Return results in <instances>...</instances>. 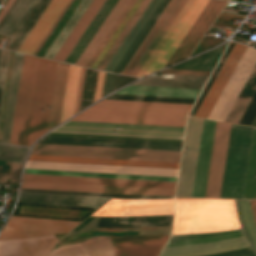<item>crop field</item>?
Segmentation results:
<instances>
[{
	"instance_id": "crop-field-16",
	"label": "crop field",
	"mask_w": 256,
	"mask_h": 256,
	"mask_svg": "<svg viewBox=\"0 0 256 256\" xmlns=\"http://www.w3.org/2000/svg\"><path fill=\"white\" fill-rule=\"evenodd\" d=\"M169 236H110L116 256H157Z\"/></svg>"
},
{
	"instance_id": "crop-field-9",
	"label": "crop field",
	"mask_w": 256,
	"mask_h": 256,
	"mask_svg": "<svg viewBox=\"0 0 256 256\" xmlns=\"http://www.w3.org/2000/svg\"><path fill=\"white\" fill-rule=\"evenodd\" d=\"M202 121L188 117L175 197H190Z\"/></svg>"
},
{
	"instance_id": "crop-field-60",
	"label": "crop field",
	"mask_w": 256,
	"mask_h": 256,
	"mask_svg": "<svg viewBox=\"0 0 256 256\" xmlns=\"http://www.w3.org/2000/svg\"><path fill=\"white\" fill-rule=\"evenodd\" d=\"M256 201V200H255Z\"/></svg>"
},
{
	"instance_id": "crop-field-46",
	"label": "crop field",
	"mask_w": 256,
	"mask_h": 256,
	"mask_svg": "<svg viewBox=\"0 0 256 256\" xmlns=\"http://www.w3.org/2000/svg\"><path fill=\"white\" fill-rule=\"evenodd\" d=\"M233 45H234V42H232V41H231V42L229 43V45H228L227 49L225 50V52H224L223 56L221 57V59H220L219 63L217 64V66H216L215 70L213 71V73H212V75H211L210 79L208 80V82H207L206 86L204 87V89H203L202 93L200 94V96H199L198 100L196 101V103H195L194 107L192 108V110H191V112H190V114H189V115L194 116V114H195L196 110L198 109V107H199L200 103L202 102V100H203V98H204L205 94L207 93V91H208L209 87L211 86V84H212L213 80L215 79V77H216L217 73L219 72V70H220L221 66L223 65V63H224V61H225L226 57L228 56V54H229L230 50H231V49H232V47H233Z\"/></svg>"
},
{
	"instance_id": "crop-field-36",
	"label": "crop field",
	"mask_w": 256,
	"mask_h": 256,
	"mask_svg": "<svg viewBox=\"0 0 256 256\" xmlns=\"http://www.w3.org/2000/svg\"><path fill=\"white\" fill-rule=\"evenodd\" d=\"M91 1L92 0L81 1V3L79 4L75 12L72 14L70 19L68 20V22L66 23L62 31L60 32V34L57 36V38L55 39V41L53 42L49 50L44 55V57L53 59V57L55 56L59 48L62 46V44L64 43V41L66 40V38L68 37L72 29L74 28L78 20L81 18V16L85 12L89 4L91 3Z\"/></svg>"
},
{
	"instance_id": "crop-field-11",
	"label": "crop field",
	"mask_w": 256,
	"mask_h": 256,
	"mask_svg": "<svg viewBox=\"0 0 256 256\" xmlns=\"http://www.w3.org/2000/svg\"><path fill=\"white\" fill-rule=\"evenodd\" d=\"M25 168L134 174V175H151V176H168V177H176L177 171H178V169H169V168H150V167L36 162V161H27Z\"/></svg>"
},
{
	"instance_id": "crop-field-7",
	"label": "crop field",
	"mask_w": 256,
	"mask_h": 256,
	"mask_svg": "<svg viewBox=\"0 0 256 256\" xmlns=\"http://www.w3.org/2000/svg\"><path fill=\"white\" fill-rule=\"evenodd\" d=\"M37 61V57L24 54L10 144L25 142Z\"/></svg>"
},
{
	"instance_id": "crop-field-26",
	"label": "crop field",
	"mask_w": 256,
	"mask_h": 256,
	"mask_svg": "<svg viewBox=\"0 0 256 256\" xmlns=\"http://www.w3.org/2000/svg\"><path fill=\"white\" fill-rule=\"evenodd\" d=\"M23 54L15 52L1 143L9 144Z\"/></svg>"
},
{
	"instance_id": "crop-field-23",
	"label": "crop field",
	"mask_w": 256,
	"mask_h": 256,
	"mask_svg": "<svg viewBox=\"0 0 256 256\" xmlns=\"http://www.w3.org/2000/svg\"><path fill=\"white\" fill-rule=\"evenodd\" d=\"M28 160L74 162V163H93V164H112V165H131V166H150V167H169V168H178V164H179V163H170V162L76 158V157L39 156V155H30Z\"/></svg>"
},
{
	"instance_id": "crop-field-45",
	"label": "crop field",
	"mask_w": 256,
	"mask_h": 256,
	"mask_svg": "<svg viewBox=\"0 0 256 256\" xmlns=\"http://www.w3.org/2000/svg\"><path fill=\"white\" fill-rule=\"evenodd\" d=\"M28 148L0 144V160L23 162Z\"/></svg>"
},
{
	"instance_id": "crop-field-3",
	"label": "crop field",
	"mask_w": 256,
	"mask_h": 256,
	"mask_svg": "<svg viewBox=\"0 0 256 256\" xmlns=\"http://www.w3.org/2000/svg\"><path fill=\"white\" fill-rule=\"evenodd\" d=\"M243 229L174 235L160 256H196L252 246L256 251V226L250 200L235 199ZM252 247L203 256H256Z\"/></svg>"
},
{
	"instance_id": "crop-field-25",
	"label": "crop field",
	"mask_w": 256,
	"mask_h": 256,
	"mask_svg": "<svg viewBox=\"0 0 256 256\" xmlns=\"http://www.w3.org/2000/svg\"><path fill=\"white\" fill-rule=\"evenodd\" d=\"M130 0H119L110 14L107 16L103 24L100 26L96 34L93 36L87 47L84 49L80 57L75 62L76 65L85 66L98 45L101 43L107 32L110 30L114 22L117 20L121 12L124 10ZM89 62V61H88ZM87 65V64H86Z\"/></svg>"
},
{
	"instance_id": "crop-field-28",
	"label": "crop field",
	"mask_w": 256,
	"mask_h": 256,
	"mask_svg": "<svg viewBox=\"0 0 256 256\" xmlns=\"http://www.w3.org/2000/svg\"><path fill=\"white\" fill-rule=\"evenodd\" d=\"M207 77L175 75L174 80L149 76L132 85L202 89Z\"/></svg>"
},
{
	"instance_id": "crop-field-35",
	"label": "crop field",
	"mask_w": 256,
	"mask_h": 256,
	"mask_svg": "<svg viewBox=\"0 0 256 256\" xmlns=\"http://www.w3.org/2000/svg\"><path fill=\"white\" fill-rule=\"evenodd\" d=\"M169 1L170 0H162L160 2L158 7L153 12L147 23L144 25V27L142 28L136 39L133 41L127 52L124 54L116 68L113 70V73L120 74L124 66L127 64L129 59L131 58V56L133 55L139 44L142 42V40L144 39V37L146 36V34L148 33L152 25L155 23V21L157 20V18L159 17V15L161 14V12L163 11V9L165 8Z\"/></svg>"
},
{
	"instance_id": "crop-field-31",
	"label": "crop field",
	"mask_w": 256,
	"mask_h": 256,
	"mask_svg": "<svg viewBox=\"0 0 256 256\" xmlns=\"http://www.w3.org/2000/svg\"><path fill=\"white\" fill-rule=\"evenodd\" d=\"M179 1L180 0H171L168 3V5L164 9L158 20L156 21V23L153 25V27L151 28L143 42L140 44V46L138 47V49L136 50L128 64L125 66L121 74L129 75L131 70L134 68L140 57L143 55V53L145 52L149 44L152 42V40L154 39L160 28L163 26V24L165 23L169 15L172 13V11L174 10Z\"/></svg>"
},
{
	"instance_id": "crop-field-52",
	"label": "crop field",
	"mask_w": 256,
	"mask_h": 256,
	"mask_svg": "<svg viewBox=\"0 0 256 256\" xmlns=\"http://www.w3.org/2000/svg\"><path fill=\"white\" fill-rule=\"evenodd\" d=\"M160 73L165 74H183V75H201V76H209L210 72L204 71H189V70H175V69H166Z\"/></svg>"
},
{
	"instance_id": "crop-field-33",
	"label": "crop field",
	"mask_w": 256,
	"mask_h": 256,
	"mask_svg": "<svg viewBox=\"0 0 256 256\" xmlns=\"http://www.w3.org/2000/svg\"><path fill=\"white\" fill-rule=\"evenodd\" d=\"M226 45L227 43L209 52L183 61L171 68L212 71L215 63L217 62Z\"/></svg>"
},
{
	"instance_id": "crop-field-59",
	"label": "crop field",
	"mask_w": 256,
	"mask_h": 256,
	"mask_svg": "<svg viewBox=\"0 0 256 256\" xmlns=\"http://www.w3.org/2000/svg\"><path fill=\"white\" fill-rule=\"evenodd\" d=\"M2 2V0H0V3Z\"/></svg>"
},
{
	"instance_id": "crop-field-27",
	"label": "crop field",
	"mask_w": 256,
	"mask_h": 256,
	"mask_svg": "<svg viewBox=\"0 0 256 256\" xmlns=\"http://www.w3.org/2000/svg\"><path fill=\"white\" fill-rule=\"evenodd\" d=\"M117 0H106L102 5L98 13L95 15L91 23L88 25L86 30L83 32L79 40L76 42L70 53L65 58L64 62L72 63L76 61L85 46L88 44L96 30L99 28L105 17L108 15L112 7L115 5Z\"/></svg>"
},
{
	"instance_id": "crop-field-17",
	"label": "crop field",
	"mask_w": 256,
	"mask_h": 256,
	"mask_svg": "<svg viewBox=\"0 0 256 256\" xmlns=\"http://www.w3.org/2000/svg\"><path fill=\"white\" fill-rule=\"evenodd\" d=\"M245 49L246 46L235 43L224 65L197 110L195 114L196 117L207 118Z\"/></svg>"
},
{
	"instance_id": "crop-field-15",
	"label": "crop field",
	"mask_w": 256,
	"mask_h": 256,
	"mask_svg": "<svg viewBox=\"0 0 256 256\" xmlns=\"http://www.w3.org/2000/svg\"><path fill=\"white\" fill-rule=\"evenodd\" d=\"M208 1L194 0L142 76L163 68Z\"/></svg>"
},
{
	"instance_id": "crop-field-30",
	"label": "crop field",
	"mask_w": 256,
	"mask_h": 256,
	"mask_svg": "<svg viewBox=\"0 0 256 256\" xmlns=\"http://www.w3.org/2000/svg\"><path fill=\"white\" fill-rule=\"evenodd\" d=\"M105 0H93L80 21L77 23L63 46L60 48L56 56L54 57L55 60L63 61L66 57L70 49L73 47L75 42L78 40L82 32L85 30L89 22L92 20L94 15L97 13L101 5L104 3ZM72 50V49H71ZM70 53V52H69ZM65 60V59H64Z\"/></svg>"
},
{
	"instance_id": "crop-field-19",
	"label": "crop field",
	"mask_w": 256,
	"mask_h": 256,
	"mask_svg": "<svg viewBox=\"0 0 256 256\" xmlns=\"http://www.w3.org/2000/svg\"><path fill=\"white\" fill-rule=\"evenodd\" d=\"M57 241L53 235L0 241V256H46Z\"/></svg>"
},
{
	"instance_id": "crop-field-4",
	"label": "crop field",
	"mask_w": 256,
	"mask_h": 256,
	"mask_svg": "<svg viewBox=\"0 0 256 256\" xmlns=\"http://www.w3.org/2000/svg\"><path fill=\"white\" fill-rule=\"evenodd\" d=\"M238 228L234 199H175L172 235Z\"/></svg>"
},
{
	"instance_id": "crop-field-53",
	"label": "crop field",
	"mask_w": 256,
	"mask_h": 256,
	"mask_svg": "<svg viewBox=\"0 0 256 256\" xmlns=\"http://www.w3.org/2000/svg\"><path fill=\"white\" fill-rule=\"evenodd\" d=\"M104 76L105 73L98 71L93 102L101 98Z\"/></svg>"
},
{
	"instance_id": "crop-field-29",
	"label": "crop field",
	"mask_w": 256,
	"mask_h": 256,
	"mask_svg": "<svg viewBox=\"0 0 256 256\" xmlns=\"http://www.w3.org/2000/svg\"><path fill=\"white\" fill-rule=\"evenodd\" d=\"M161 0H151L142 15L139 17L131 31L128 33L120 47L117 49L109 63L104 68L105 71L112 72L114 67L117 65L123 54L126 52L132 41L135 39L143 25L146 23L152 12L155 10ZM116 68V67H115Z\"/></svg>"
},
{
	"instance_id": "crop-field-56",
	"label": "crop field",
	"mask_w": 256,
	"mask_h": 256,
	"mask_svg": "<svg viewBox=\"0 0 256 256\" xmlns=\"http://www.w3.org/2000/svg\"><path fill=\"white\" fill-rule=\"evenodd\" d=\"M72 0L69 1V3L67 4V6L64 8V10L62 11V13L60 14V16L58 17V19L56 20V22L53 24V26L51 27V29L49 30V32L47 33V35L44 37V39L42 40V42L40 43V45L38 46V48L35 50V52L33 53V55H35V53L37 52V50L39 49V47L42 45V43L44 42V40L46 39V37L48 36V34L50 33V31L53 29V27L55 26V24L57 23V21L59 20V18L61 17V15L64 13V11L66 10V8L68 7V5L70 4ZM39 51V50H38Z\"/></svg>"
},
{
	"instance_id": "crop-field-10",
	"label": "crop field",
	"mask_w": 256,
	"mask_h": 256,
	"mask_svg": "<svg viewBox=\"0 0 256 256\" xmlns=\"http://www.w3.org/2000/svg\"><path fill=\"white\" fill-rule=\"evenodd\" d=\"M256 63V50L247 47L208 118L224 121L242 86Z\"/></svg>"
},
{
	"instance_id": "crop-field-42",
	"label": "crop field",
	"mask_w": 256,
	"mask_h": 256,
	"mask_svg": "<svg viewBox=\"0 0 256 256\" xmlns=\"http://www.w3.org/2000/svg\"><path fill=\"white\" fill-rule=\"evenodd\" d=\"M31 1L32 0H19L17 2L11 13L0 27V34L8 36Z\"/></svg>"
},
{
	"instance_id": "crop-field-32",
	"label": "crop field",
	"mask_w": 256,
	"mask_h": 256,
	"mask_svg": "<svg viewBox=\"0 0 256 256\" xmlns=\"http://www.w3.org/2000/svg\"><path fill=\"white\" fill-rule=\"evenodd\" d=\"M200 90L128 86L115 93L197 98Z\"/></svg>"
},
{
	"instance_id": "crop-field-55",
	"label": "crop field",
	"mask_w": 256,
	"mask_h": 256,
	"mask_svg": "<svg viewBox=\"0 0 256 256\" xmlns=\"http://www.w3.org/2000/svg\"><path fill=\"white\" fill-rule=\"evenodd\" d=\"M84 71H85V68L82 67L81 76H80V82H79V88H78V94H77V100H76V106H75V112L74 113L78 112V108H79V102H80V96H81V89H82Z\"/></svg>"
},
{
	"instance_id": "crop-field-34",
	"label": "crop field",
	"mask_w": 256,
	"mask_h": 256,
	"mask_svg": "<svg viewBox=\"0 0 256 256\" xmlns=\"http://www.w3.org/2000/svg\"><path fill=\"white\" fill-rule=\"evenodd\" d=\"M80 69L81 67H78V66L70 65L69 67V73H68V79H67V85H66V91H65V97H64V103H63L60 122H62L63 120L73 115Z\"/></svg>"
},
{
	"instance_id": "crop-field-21",
	"label": "crop field",
	"mask_w": 256,
	"mask_h": 256,
	"mask_svg": "<svg viewBox=\"0 0 256 256\" xmlns=\"http://www.w3.org/2000/svg\"><path fill=\"white\" fill-rule=\"evenodd\" d=\"M69 0H51L18 52L32 55Z\"/></svg>"
},
{
	"instance_id": "crop-field-58",
	"label": "crop field",
	"mask_w": 256,
	"mask_h": 256,
	"mask_svg": "<svg viewBox=\"0 0 256 256\" xmlns=\"http://www.w3.org/2000/svg\"><path fill=\"white\" fill-rule=\"evenodd\" d=\"M251 126L256 127V117H255V119L253 120V122H252Z\"/></svg>"
},
{
	"instance_id": "crop-field-6",
	"label": "crop field",
	"mask_w": 256,
	"mask_h": 256,
	"mask_svg": "<svg viewBox=\"0 0 256 256\" xmlns=\"http://www.w3.org/2000/svg\"><path fill=\"white\" fill-rule=\"evenodd\" d=\"M56 62L39 58L32 98L26 146L45 133ZM44 110V112H42Z\"/></svg>"
},
{
	"instance_id": "crop-field-47",
	"label": "crop field",
	"mask_w": 256,
	"mask_h": 256,
	"mask_svg": "<svg viewBox=\"0 0 256 256\" xmlns=\"http://www.w3.org/2000/svg\"><path fill=\"white\" fill-rule=\"evenodd\" d=\"M193 2V0H189L186 5L184 6V8L182 9V11L180 12V14L177 16V18L175 19V21L173 22V24L171 25V27L168 29V31L166 32V34L164 35V37L162 38V40L160 41V43L157 45V47L155 48V50L153 51V53L151 54V56L148 58V60L146 61V63L144 64V66L142 67V69L139 71V73L137 74L138 77H141V75L143 74V72L146 70V68L148 67V65L150 64V62L152 61V59L155 57V55L157 54V52L159 51V49L161 48V46L164 44V42L166 41V39L168 38V36L170 35V33L172 32V30L175 28V26L177 25V23L179 22V20L181 19V17L184 15V13L186 12V10L188 9V7L190 6V4Z\"/></svg>"
},
{
	"instance_id": "crop-field-41",
	"label": "crop field",
	"mask_w": 256,
	"mask_h": 256,
	"mask_svg": "<svg viewBox=\"0 0 256 256\" xmlns=\"http://www.w3.org/2000/svg\"><path fill=\"white\" fill-rule=\"evenodd\" d=\"M150 0H143V2L141 3V5L139 6V8L137 9V11L135 12V14L132 16V18L130 19V21L128 22V24L126 25V27L124 28V30L121 32V34L119 35V37L117 38V40L115 41V43L113 44V46L110 48V50L108 51V53L106 54V56L104 57V59L102 60V62L99 64V66L97 67V69L99 70H103V68L105 67V65L107 64V62L110 60V58L112 57V55L114 54V52L116 51V49L118 48V46L121 44V42L123 41V39L125 38V36L127 35V33L129 32V30L132 28V26L134 25V23L136 22V20L138 19V17L140 16V14L143 12V10L145 9V7L147 6V4L149 3Z\"/></svg>"
},
{
	"instance_id": "crop-field-13",
	"label": "crop field",
	"mask_w": 256,
	"mask_h": 256,
	"mask_svg": "<svg viewBox=\"0 0 256 256\" xmlns=\"http://www.w3.org/2000/svg\"><path fill=\"white\" fill-rule=\"evenodd\" d=\"M226 3L218 0L208 2L164 67L188 57Z\"/></svg>"
},
{
	"instance_id": "crop-field-44",
	"label": "crop field",
	"mask_w": 256,
	"mask_h": 256,
	"mask_svg": "<svg viewBox=\"0 0 256 256\" xmlns=\"http://www.w3.org/2000/svg\"><path fill=\"white\" fill-rule=\"evenodd\" d=\"M142 2V0H137L135 2V4L132 6V8L130 9V11L128 12V14L126 15V17L123 19V21L121 22V24L119 25V27L116 29V31L114 32V34L112 35V37L109 39V41L107 42V44L105 45V47L103 48V50L100 52V54L98 55V57L96 58V60L93 62V64L91 65V68L96 69V67L98 66V64L100 63V61L103 59V57L105 56V54L107 53V51L109 50V48L111 47V45L114 43V41L116 40V38L118 37V35L120 34V32L122 31V29L125 27V25L127 24V22L129 21V19L131 18V16L133 15V13L136 11V9L138 8V6L140 5V3Z\"/></svg>"
},
{
	"instance_id": "crop-field-39",
	"label": "crop field",
	"mask_w": 256,
	"mask_h": 256,
	"mask_svg": "<svg viewBox=\"0 0 256 256\" xmlns=\"http://www.w3.org/2000/svg\"><path fill=\"white\" fill-rule=\"evenodd\" d=\"M187 1L188 0H181L179 2V4L177 5V7L173 11V13L170 15V17L168 18V20L166 21L164 26L161 28V30L159 31V33L157 34V36L155 37L153 42L150 44V46L148 47V49L146 50V52L144 53L142 58L139 60V62L137 63V65L135 66V68L133 69V71L131 72L130 75L136 76L138 71L141 69V67L143 66V64L147 60V58L150 56V54L152 53V51L154 50L156 45L159 43V41L161 40V38L163 37V35L167 31V29L170 27V25L172 24V22L174 21V19L179 14V12L181 11V9L183 8V6L185 5V3Z\"/></svg>"
},
{
	"instance_id": "crop-field-43",
	"label": "crop field",
	"mask_w": 256,
	"mask_h": 256,
	"mask_svg": "<svg viewBox=\"0 0 256 256\" xmlns=\"http://www.w3.org/2000/svg\"><path fill=\"white\" fill-rule=\"evenodd\" d=\"M171 226L131 227V228H96L95 231L128 232L139 231L140 235H169Z\"/></svg>"
},
{
	"instance_id": "crop-field-24",
	"label": "crop field",
	"mask_w": 256,
	"mask_h": 256,
	"mask_svg": "<svg viewBox=\"0 0 256 256\" xmlns=\"http://www.w3.org/2000/svg\"><path fill=\"white\" fill-rule=\"evenodd\" d=\"M68 67L67 64L57 62L46 131L59 124Z\"/></svg>"
},
{
	"instance_id": "crop-field-40",
	"label": "crop field",
	"mask_w": 256,
	"mask_h": 256,
	"mask_svg": "<svg viewBox=\"0 0 256 256\" xmlns=\"http://www.w3.org/2000/svg\"><path fill=\"white\" fill-rule=\"evenodd\" d=\"M80 1L81 0H73L71 2V4L67 8V10L63 14V16L60 18V20L58 21V23L56 24V26L54 27L52 32L49 34V36L47 37V39L45 40V42L43 43V45L39 49V51L36 53L37 56L43 57V55L45 54L47 49L50 47V45L52 44V42L54 41V39L56 38L58 33L61 31V29L63 28V26L65 25V23L67 22V20L71 16V14L74 12V10L76 9V7L80 3Z\"/></svg>"
},
{
	"instance_id": "crop-field-20",
	"label": "crop field",
	"mask_w": 256,
	"mask_h": 256,
	"mask_svg": "<svg viewBox=\"0 0 256 256\" xmlns=\"http://www.w3.org/2000/svg\"><path fill=\"white\" fill-rule=\"evenodd\" d=\"M20 188L173 196L174 190L22 182Z\"/></svg>"
},
{
	"instance_id": "crop-field-37",
	"label": "crop field",
	"mask_w": 256,
	"mask_h": 256,
	"mask_svg": "<svg viewBox=\"0 0 256 256\" xmlns=\"http://www.w3.org/2000/svg\"><path fill=\"white\" fill-rule=\"evenodd\" d=\"M242 198L256 199V128L253 130Z\"/></svg>"
},
{
	"instance_id": "crop-field-51",
	"label": "crop field",
	"mask_w": 256,
	"mask_h": 256,
	"mask_svg": "<svg viewBox=\"0 0 256 256\" xmlns=\"http://www.w3.org/2000/svg\"><path fill=\"white\" fill-rule=\"evenodd\" d=\"M47 135H53V136H70V137H88V138H105V139H122V140H139V141H157V142H174V143H182V141H174V140H157V139H141V138H124V137L90 136V135H74V134H57V133H48Z\"/></svg>"
},
{
	"instance_id": "crop-field-12",
	"label": "crop field",
	"mask_w": 256,
	"mask_h": 256,
	"mask_svg": "<svg viewBox=\"0 0 256 256\" xmlns=\"http://www.w3.org/2000/svg\"><path fill=\"white\" fill-rule=\"evenodd\" d=\"M173 199L119 200L110 199L91 215L136 216L172 214Z\"/></svg>"
},
{
	"instance_id": "crop-field-50",
	"label": "crop field",
	"mask_w": 256,
	"mask_h": 256,
	"mask_svg": "<svg viewBox=\"0 0 256 256\" xmlns=\"http://www.w3.org/2000/svg\"><path fill=\"white\" fill-rule=\"evenodd\" d=\"M20 191H36V192L67 193V194L102 195V196L119 197V198H171V197H160V196H137V195H119V194H101V193L47 191V190H29V189H20Z\"/></svg>"
},
{
	"instance_id": "crop-field-57",
	"label": "crop field",
	"mask_w": 256,
	"mask_h": 256,
	"mask_svg": "<svg viewBox=\"0 0 256 256\" xmlns=\"http://www.w3.org/2000/svg\"><path fill=\"white\" fill-rule=\"evenodd\" d=\"M251 205H252L253 216H254L255 223H256V205H255V201L254 200H251Z\"/></svg>"
},
{
	"instance_id": "crop-field-48",
	"label": "crop field",
	"mask_w": 256,
	"mask_h": 256,
	"mask_svg": "<svg viewBox=\"0 0 256 256\" xmlns=\"http://www.w3.org/2000/svg\"><path fill=\"white\" fill-rule=\"evenodd\" d=\"M13 55H14V52L10 51L9 60H8V67H7V74H6V80H5V87H4V93H3V100H2V106H1V113H0V140H1V134H2V127H3V120H4L7 94H8V88H9V81H10Z\"/></svg>"
},
{
	"instance_id": "crop-field-1",
	"label": "crop field",
	"mask_w": 256,
	"mask_h": 256,
	"mask_svg": "<svg viewBox=\"0 0 256 256\" xmlns=\"http://www.w3.org/2000/svg\"><path fill=\"white\" fill-rule=\"evenodd\" d=\"M191 107L184 104L101 100L71 120L184 126ZM78 121H68L51 132L182 140L184 130V127L175 126Z\"/></svg>"
},
{
	"instance_id": "crop-field-54",
	"label": "crop field",
	"mask_w": 256,
	"mask_h": 256,
	"mask_svg": "<svg viewBox=\"0 0 256 256\" xmlns=\"http://www.w3.org/2000/svg\"><path fill=\"white\" fill-rule=\"evenodd\" d=\"M135 80L137 79L116 75L114 90Z\"/></svg>"
},
{
	"instance_id": "crop-field-49",
	"label": "crop field",
	"mask_w": 256,
	"mask_h": 256,
	"mask_svg": "<svg viewBox=\"0 0 256 256\" xmlns=\"http://www.w3.org/2000/svg\"><path fill=\"white\" fill-rule=\"evenodd\" d=\"M136 0H131L130 3L127 5V7L125 8V10L123 11V13L121 14V16L118 18V20L116 21V23L114 24V26L111 28V30L109 31V33L107 34V36L104 38V40L102 41V43L100 44V46L98 47V49L96 50V52L93 54V56L91 57V59L89 60V62L87 63V67H90V65L92 64V62L95 60V58L97 57V55L99 54V52L102 50V48L104 47V45L106 44V42L108 41V39L111 37V35L113 34V32L115 31V29L118 27V25L120 24V22L122 21V19L125 17V15L127 14V12L129 11V9L131 8V6L134 4Z\"/></svg>"
},
{
	"instance_id": "crop-field-22",
	"label": "crop field",
	"mask_w": 256,
	"mask_h": 256,
	"mask_svg": "<svg viewBox=\"0 0 256 256\" xmlns=\"http://www.w3.org/2000/svg\"><path fill=\"white\" fill-rule=\"evenodd\" d=\"M81 243L55 248L48 256H114V248L108 236H89Z\"/></svg>"
},
{
	"instance_id": "crop-field-8",
	"label": "crop field",
	"mask_w": 256,
	"mask_h": 256,
	"mask_svg": "<svg viewBox=\"0 0 256 256\" xmlns=\"http://www.w3.org/2000/svg\"><path fill=\"white\" fill-rule=\"evenodd\" d=\"M78 223L80 222L11 216L0 233V240L68 232Z\"/></svg>"
},
{
	"instance_id": "crop-field-5",
	"label": "crop field",
	"mask_w": 256,
	"mask_h": 256,
	"mask_svg": "<svg viewBox=\"0 0 256 256\" xmlns=\"http://www.w3.org/2000/svg\"><path fill=\"white\" fill-rule=\"evenodd\" d=\"M31 154L179 162L180 152L35 144Z\"/></svg>"
},
{
	"instance_id": "crop-field-14",
	"label": "crop field",
	"mask_w": 256,
	"mask_h": 256,
	"mask_svg": "<svg viewBox=\"0 0 256 256\" xmlns=\"http://www.w3.org/2000/svg\"><path fill=\"white\" fill-rule=\"evenodd\" d=\"M22 181L174 189L176 182L24 174Z\"/></svg>"
},
{
	"instance_id": "crop-field-2",
	"label": "crop field",
	"mask_w": 256,
	"mask_h": 256,
	"mask_svg": "<svg viewBox=\"0 0 256 256\" xmlns=\"http://www.w3.org/2000/svg\"><path fill=\"white\" fill-rule=\"evenodd\" d=\"M216 121L204 119L191 197H204ZM231 124L217 121L205 197L219 198ZM251 127L232 124L220 198H241Z\"/></svg>"
},
{
	"instance_id": "crop-field-38",
	"label": "crop field",
	"mask_w": 256,
	"mask_h": 256,
	"mask_svg": "<svg viewBox=\"0 0 256 256\" xmlns=\"http://www.w3.org/2000/svg\"><path fill=\"white\" fill-rule=\"evenodd\" d=\"M24 173L176 181V178L25 169Z\"/></svg>"
},
{
	"instance_id": "crop-field-18",
	"label": "crop field",
	"mask_w": 256,
	"mask_h": 256,
	"mask_svg": "<svg viewBox=\"0 0 256 256\" xmlns=\"http://www.w3.org/2000/svg\"><path fill=\"white\" fill-rule=\"evenodd\" d=\"M110 198L19 193L17 203L96 209Z\"/></svg>"
}]
</instances>
